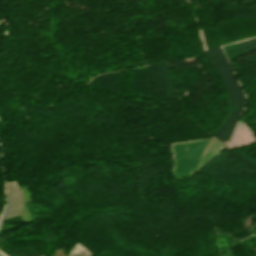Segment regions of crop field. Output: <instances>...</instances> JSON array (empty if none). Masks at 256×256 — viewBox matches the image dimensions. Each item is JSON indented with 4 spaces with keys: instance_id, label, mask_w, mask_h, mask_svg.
Returning <instances> with one entry per match:
<instances>
[{
    "instance_id": "8a807250",
    "label": "crop field",
    "mask_w": 256,
    "mask_h": 256,
    "mask_svg": "<svg viewBox=\"0 0 256 256\" xmlns=\"http://www.w3.org/2000/svg\"><path fill=\"white\" fill-rule=\"evenodd\" d=\"M78 255V253H76V252H74V251H72V253L70 254V256H77ZM79 256V255H78Z\"/></svg>"
}]
</instances>
